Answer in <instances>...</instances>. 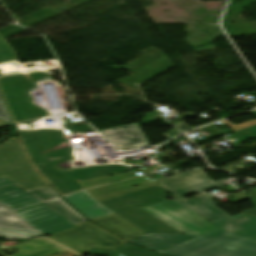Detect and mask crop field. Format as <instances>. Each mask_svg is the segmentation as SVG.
Returning <instances> with one entry per match:
<instances>
[{"instance_id": "obj_3", "label": "crop field", "mask_w": 256, "mask_h": 256, "mask_svg": "<svg viewBox=\"0 0 256 256\" xmlns=\"http://www.w3.org/2000/svg\"><path fill=\"white\" fill-rule=\"evenodd\" d=\"M164 192V191H163ZM159 185L99 201L115 214L125 218L145 233L181 234L140 208L165 202ZM124 219V220H125Z\"/></svg>"}, {"instance_id": "obj_1", "label": "crop field", "mask_w": 256, "mask_h": 256, "mask_svg": "<svg viewBox=\"0 0 256 256\" xmlns=\"http://www.w3.org/2000/svg\"><path fill=\"white\" fill-rule=\"evenodd\" d=\"M255 215L253 208L211 221L221 229L202 237L144 234L130 242L166 256H256Z\"/></svg>"}, {"instance_id": "obj_22", "label": "crop field", "mask_w": 256, "mask_h": 256, "mask_svg": "<svg viewBox=\"0 0 256 256\" xmlns=\"http://www.w3.org/2000/svg\"><path fill=\"white\" fill-rule=\"evenodd\" d=\"M24 66L27 71L45 70L51 68L47 60L27 62L24 63Z\"/></svg>"}, {"instance_id": "obj_30", "label": "crop field", "mask_w": 256, "mask_h": 256, "mask_svg": "<svg viewBox=\"0 0 256 256\" xmlns=\"http://www.w3.org/2000/svg\"><path fill=\"white\" fill-rule=\"evenodd\" d=\"M179 134H181L177 129L171 131V132H167L162 134L163 136H165L166 138L170 139L172 137L178 136Z\"/></svg>"}, {"instance_id": "obj_15", "label": "crop field", "mask_w": 256, "mask_h": 256, "mask_svg": "<svg viewBox=\"0 0 256 256\" xmlns=\"http://www.w3.org/2000/svg\"><path fill=\"white\" fill-rule=\"evenodd\" d=\"M19 66L16 53L0 34V75Z\"/></svg>"}, {"instance_id": "obj_37", "label": "crop field", "mask_w": 256, "mask_h": 256, "mask_svg": "<svg viewBox=\"0 0 256 256\" xmlns=\"http://www.w3.org/2000/svg\"><path fill=\"white\" fill-rule=\"evenodd\" d=\"M251 115H253L254 117H256V110L255 111H252V112H249Z\"/></svg>"}, {"instance_id": "obj_6", "label": "crop field", "mask_w": 256, "mask_h": 256, "mask_svg": "<svg viewBox=\"0 0 256 256\" xmlns=\"http://www.w3.org/2000/svg\"><path fill=\"white\" fill-rule=\"evenodd\" d=\"M142 209L183 234L202 236L220 229L173 200Z\"/></svg>"}, {"instance_id": "obj_26", "label": "crop field", "mask_w": 256, "mask_h": 256, "mask_svg": "<svg viewBox=\"0 0 256 256\" xmlns=\"http://www.w3.org/2000/svg\"><path fill=\"white\" fill-rule=\"evenodd\" d=\"M67 121H64V122H61L59 120L58 117H55V118H49V119H45V120H40L39 123L41 124V126H44V125H50V124H56V123H59L61 128L63 129V131L65 132L66 136L68 137L66 131L64 130L63 126L61 123H65ZM68 139L70 140V138L68 137ZM71 144H72V141L70 140Z\"/></svg>"}, {"instance_id": "obj_9", "label": "crop field", "mask_w": 256, "mask_h": 256, "mask_svg": "<svg viewBox=\"0 0 256 256\" xmlns=\"http://www.w3.org/2000/svg\"><path fill=\"white\" fill-rule=\"evenodd\" d=\"M121 150L148 146L149 141L137 124L99 131Z\"/></svg>"}, {"instance_id": "obj_28", "label": "crop field", "mask_w": 256, "mask_h": 256, "mask_svg": "<svg viewBox=\"0 0 256 256\" xmlns=\"http://www.w3.org/2000/svg\"><path fill=\"white\" fill-rule=\"evenodd\" d=\"M32 80L34 79H39V78H43V77H48V76H52L50 74L47 73H43V72H35V73H29Z\"/></svg>"}, {"instance_id": "obj_11", "label": "crop field", "mask_w": 256, "mask_h": 256, "mask_svg": "<svg viewBox=\"0 0 256 256\" xmlns=\"http://www.w3.org/2000/svg\"><path fill=\"white\" fill-rule=\"evenodd\" d=\"M37 202H39L37 199L17 187L10 180L4 177L0 178V203L6 204L15 210Z\"/></svg>"}, {"instance_id": "obj_31", "label": "crop field", "mask_w": 256, "mask_h": 256, "mask_svg": "<svg viewBox=\"0 0 256 256\" xmlns=\"http://www.w3.org/2000/svg\"><path fill=\"white\" fill-rule=\"evenodd\" d=\"M249 194L253 200V202H252L253 206L256 207V187L254 189H252L251 191H249Z\"/></svg>"}, {"instance_id": "obj_14", "label": "crop field", "mask_w": 256, "mask_h": 256, "mask_svg": "<svg viewBox=\"0 0 256 256\" xmlns=\"http://www.w3.org/2000/svg\"><path fill=\"white\" fill-rule=\"evenodd\" d=\"M13 248L22 251L13 256H49L66 251L65 248L46 239H35L31 242L21 244Z\"/></svg>"}, {"instance_id": "obj_17", "label": "crop field", "mask_w": 256, "mask_h": 256, "mask_svg": "<svg viewBox=\"0 0 256 256\" xmlns=\"http://www.w3.org/2000/svg\"><path fill=\"white\" fill-rule=\"evenodd\" d=\"M112 250L120 256H162L129 243L115 247Z\"/></svg>"}, {"instance_id": "obj_20", "label": "crop field", "mask_w": 256, "mask_h": 256, "mask_svg": "<svg viewBox=\"0 0 256 256\" xmlns=\"http://www.w3.org/2000/svg\"><path fill=\"white\" fill-rule=\"evenodd\" d=\"M63 126H64L65 130L67 131L69 137L78 136L79 133L88 132V131H93V132L97 133L88 124L71 127L69 125V123H65V124H63Z\"/></svg>"}, {"instance_id": "obj_2", "label": "crop field", "mask_w": 256, "mask_h": 256, "mask_svg": "<svg viewBox=\"0 0 256 256\" xmlns=\"http://www.w3.org/2000/svg\"><path fill=\"white\" fill-rule=\"evenodd\" d=\"M36 168L52 186L78 180L84 182L130 170L127 166L103 165L61 169L57 165L80 159L59 124L41 127L38 121L16 125Z\"/></svg>"}, {"instance_id": "obj_10", "label": "crop field", "mask_w": 256, "mask_h": 256, "mask_svg": "<svg viewBox=\"0 0 256 256\" xmlns=\"http://www.w3.org/2000/svg\"><path fill=\"white\" fill-rule=\"evenodd\" d=\"M140 184V187L133 188L132 185ZM152 185H156L153 180H147L146 177L135 178L132 180L118 182L111 185L100 186L94 189L88 190L94 199L97 201L122 195L128 192L146 188Z\"/></svg>"}, {"instance_id": "obj_12", "label": "crop field", "mask_w": 256, "mask_h": 256, "mask_svg": "<svg viewBox=\"0 0 256 256\" xmlns=\"http://www.w3.org/2000/svg\"><path fill=\"white\" fill-rule=\"evenodd\" d=\"M64 199L89 220L113 214L112 211L97 203L87 190L64 197Z\"/></svg>"}, {"instance_id": "obj_29", "label": "crop field", "mask_w": 256, "mask_h": 256, "mask_svg": "<svg viewBox=\"0 0 256 256\" xmlns=\"http://www.w3.org/2000/svg\"><path fill=\"white\" fill-rule=\"evenodd\" d=\"M108 252H109V250H107V249L91 248L87 253H97V254L107 255Z\"/></svg>"}, {"instance_id": "obj_7", "label": "crop field", "mask_w": 256, "mask_h": 256, "mask_svg": "<svg viewBox=\"0 0 256 256\" xmlns=\"http://www.w3.org/2000/svg\"><path fill=\"white\" fill-rule=\"evenodd\" d=\"M141 53L145 55L124 67L136 74L118 81L135 87L173 67L161 50L148 48Z\"/></svg>"}, {"instance_id": "obj_18", "label": "crop field", "mask_w": 256, "mask_h": 256, "mask_svg": "<svg viewBox=\"0 0 256 256\" xmlns=\"http://www.w3.org/2000/svg\"><path fill=\"white\" fill-rule=\"evenodd\" d=\"M132 172H135V171H132ZM132 172L121 173V174H117V175H113V176H109V177H105L97 180H92V181H88L80 184L86 189V188H90V187H94L102 184L111 183L114 181H119L121 179L131 178L128 176V174Z\"/></svg>"}, {"instance_id": "obj_36", "label": "crop field", "mask_w": 256, "mask_h": 256, "mask_svg": "<svg viewBox=\"0 0 256 256\" xmlns=\"http://www.w3.org/2000/svg\"><path fill=\"white\" fill-rule=\"evenodd\" d=\"M108 256H118L117 254H115L113 251H110Z\"/></svg>"}, {"instance_id": "obj_19", "label": "crop field", "mask_w": 256, "mask_h": 256, "mask_svg": "<svg viewBox=\"0 0 256 256\" xmlns=\"http://www.w3.org/2000/svg\"><path fill=\"white\" fill-rule=\"evenodd\" d=\"M28 193L36 197L41 202L59 197V195L55 192V190L52 187L29 191Z\"/></svg>"}, {"instance_id": "obj_27", "label": "crop field", "mask_w": 256, "mask_h": 256, "mask_svg": "<svg viewBox=\"0 0 256 256\" xmlns=\"http://www.w3.org/2000/svg\"><path fill=\"white\" fill-rule=\"evenodd\" d=\"M231 196L234 197V200H233L234 203L248 199V196L245 194V192L234 193V194H231Z\"/></svg>"}, {"instance_id": "obj_34", "label": "crop field", "mask_w": 256, "mask_h": 256, "mask_svg": "<svg viewBox=\"0 0 256 256\" xmlns=\"http://www.w3.org/2000/svg\"><path fill=\"white\" fill-rule=\"evenodd\" d=\"M220 189H222L226 193H228L230 191H232V192L236 191V189L232 185L220 187Z\"/></svg>"}, {"instance_id": "obj_5", "label": "crop field", "mask_w": 256, "mask_h": 256, "mask_svg": "<svg viewBox=\"0 0 256 256\" xmlns=\"http://www.w3.org/2000/svg\"><path fill=\"white\" fill-rule=\"evenodd\" d=\"M14 181L25 190L50 186L32 167L15 138L0 146V177Z\"/></svg>"}, {"instance_id": "obj_33", "label": "crop field", "mask_w": 256, "mask_h": 256, "mask_svg": "<svg viewBox=\"0 0 256 256\" xmlns=\"http://www.w3.org/2000/svg\"><path fill=\"white\" fill-rule=\"evenodd\" d=\"M157 167H158V165L152 166V167H148V168H145V169H141V170H137V172L141 171L143 174H145V173H149V172H152V171L156 170Z\"/></svg>"}, {"instance_id": "obj_8", "label": "crop field", "mask_w": 256, "mask_h": 256, "mask_svg": "<svg viewBox=\"0 0 256 256\" xmlns=\"http://www.w3.org/2000/svg\"><path fill=\"white\" fill-rule=\"evenodd\" d=\"M15 213L40 234L51 235L75 227L74 224L43 203L21 209Z\"/></svg>"}, {"instance_id": "obj_38", "label": "crop field", "mask_w": 256, "mask_h": 256, "mask_svg": "<svg viewBox=\"0 0 256 256\" xmlns=\"http://www.w3.org/2000/svg\"><path fill=\"white\" fill-rule=\"evenodd\" d=\"M17 72H24V71H16V72H12V73H17ZM11 74V73H10Z\"/></svg>"}, {"instance_id": "obj_32", "label": "crop field", "mask_w": 256, "mask_h": 256, "mask_svg": "<svg viewBox=\"0 0 256 256\" xmlns=\"http://www.w3.org/2000/svg\"><path fill=\"white\" fill-rule=\"evenodd\" d=\"M175 126H177L179 129H181L184 132L191 130V128L185 122Z\"/></svg>"}, {"instance_id": "obj_35", "label": "crop field", "mask_w": 256, "mask_h": 256, "mask_svg": "<svg viewBox=\"0 0 256 256\" xmlns=\"http://www.w3.org/2000/svg\"><path fill=\"white\" fill-rule=\"evenodd\" d=\"M6 126H9V124H7V123H5V122L0 120V128L6 127Z\"/></svg>"}, {"instance_id": "obj_23", "label": "crop field", "mask_w": 256, "mask_h": 256, "mask_svg": "<svg viewBox=\"0 0 256 256\" xmlns=\"http://www.w3.org/2000/svg\"><path fill=\"white\" fill-rule=\"evenodd\" d=\"M0 119L11 124V119H10V116H9V113L7 111V108L4 104V101L2 99V96L0 94Z\"/></svg>"}, {"instance_id": "obj_16", "label": "crop field", "mask_w": 256, "mask_h": 256, "mask_svg": "<svg viewBox=\"0 0 256 256\" xmlns=\"http://www.w3.org/2000/svg\"><path fill=\"white\" fill-rule=\"evenodd\" d=\"M63 200V199H62ZM61 199L45 202L46 205L51 207L53 210L67 218L72 223H80L83 221H87L82 215L76 212L73 208H71L68 204H66Z\"/></svg>"}, {"instance_id": "obj_24", "label": "crop field", "mask_w": 256, "mask_h": 256, "mask_svg": "<svg viewBox=\"0 0 256 256\" xmlns=\"http://www.w3.org/2000/svg\"><path fill=\"white\" fill-rule=\"evenodd\" d=\"M0 236H2L5 239V241L36 237V236H28V235H20V234H12V233H4V232H0Z\"/></svg>"}, {"instance_id": "obj_4", "label": "crop field", "mask_w": 256, "mask_h": 256, "mask_svg": "<svg viewBox=\"0 0 256 256\" xmlns=\"http://www.w3.org/2000/svg\"><path fill=\"white\" fill-rule=\"evenodd\" d=\"M52 81L51 77L32 81L29 74L0 78V89L15 123L51 116L32 103L30 92L37 89L36 82Z\"/></svg>"}, {"instance_id": "obj_25", "label": "crop field", "mask_w": 256, "mask_h": 256, "mask_svg": "<svg viewBox=\"0 0 256 256\" xmlns=\"http://www.w3.org/2000/svg\"><path fill=\"white\" fill-rule=\"evenodd\" d=\"M224 124H227L229 125L230 127H232L234 130H239V129H242V128H246V127H250L254 124H256V119L254 120H251V121H247V122H244V123H241V124H233L231 123L230 121L226 120V121H222Z\"/></svg>"}, {"instance_id": "obj_13", "label": "crop field", "mask_w": 256, "mask_h": 256, "mask_svg": "<svg viewBox=\"0 0 256 256\" xmlns=\"http://www.w3.org/2000/svg\"><path fill=\"white\" fill-rule=\"evenodd\" d=\"M0 231L41 236L8 206L0 204Z\"/></svg>"}, {"instance_id": "obj_21", "label": "crop field", "mask_w": 256, "mask_h": 256, "mask_svg": "<svg viewBox=\"0 0 256 256\" xmlns=\"http://www.w3.org/2000/svg\"><path fill=\"white\" fill-rule=\"evenodd\" d=\"M54 188L61 196L83 189L77 181L55 186Z\"/></svg>"}]
</instances>
